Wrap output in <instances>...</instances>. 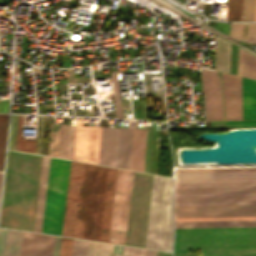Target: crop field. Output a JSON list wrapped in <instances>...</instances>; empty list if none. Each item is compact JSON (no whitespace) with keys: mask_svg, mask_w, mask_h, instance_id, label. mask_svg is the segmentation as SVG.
<instances>
[{"mask_svg":"<svg viewBox=\"0 0 256 256\" xmlns=\"http://www.w3.org/2000/svg\"><path fill=\"white\" fill-rule=\"evenodd\" d=\"M55 236L24 231L20 256H52Z\"/></svg>","mask_w":256,"mask_h":256,"instance_id":"crop-field-13","label":"crop field"},{"mask_svg":"<svg viewBox=\"0 0 256 256\" xmlns=\"http://www.w3.org/2000/svg\"><path fill=\"white\" fill-rule=\"evenodd\" d=\"M153 175L134 172L126 240L144 247Z\"/></svg>","mask_w":256,"mask_h":256,"instance_id":"crop-field-7","label":"crop field"},{"mask_svg":"<svg viewBox=\"0 0 256 256\" xmlns=\"http://www.w3.org/2000/svg\"><path fill=\"white\" fill-rule=\"evenodd\" d=\"M146 250L124 246L122 256H145Z\"/></svg>","mask_w":256,"mask_h":256,"instance_id":"crop-field-35","label":"crop field"},{"mask_svg":"<svg viewBox=\"0 0 256 256\" xmlns=\"http://www.w3.org/2000/svg\"><path fill=\"white\" fill-rule=\"evenodd\" d=\"M116 173L71 161L62 235L108 242Z\"/></svg>","mask_w":256,"mask_h":256,"instance_id":"crop-field-1","label":"crop field"},{"mask_svg":"<svg viewBox=\"0 0 256 256\" xmlns=\"http://www.w3.org/2000/svg\"><path fill=\"white\" fill-rule=\"evenodd\" d=\"M173 179L154 175L145 247L171 251Z\"/></svg>","mask_w":256,"mask_h":256,"instance_id":"crop-field-5","label":"crop field"},{"mask_svg":"<svg viewBox=\"0 0 256 256\" xmlns=\"http://www.w3.org/2000/svg\"><path fill=\"white\" fill-rule=\"evenodd\" d=\"M202 220H256V217H202V218H175V221H202Z\"/></svg>","mask_w":256,"mask_h":256,"instance_id":"crop-field-31","label":"crop field"},{"mask_svg":"<svg viewBox=\"0 0 256 256\" xmlns=\"http://www.w3.org/2000/svg\"><path fill=\"white\" fill-rule=\"evenodd\" d=\"M156 251L147 250L146 256H155Z\"/></svg>","mask_w":256,"mask_h":256,"instance_id":"crop-field-39","label":"crop field"},{"mask_svg":"<svg viewBox=\"0 0 256 256\" xmlns=\"http://www.w3.org/2000/svg\"><path fill=\"white\" fill-rule=\"evenodd\" d=\"M188 248H202L201 256H256V228L175 229L174 253Z\"/></svg>","mask_w":256,"mask_h":256,"instance_id":"crop-field-4","label":"crop field"},{"mask_svg":"<svg viewBox=\"0 0 256 256\" xmlns=\"http://www.w3.org/2000/svg\"><path fill=\"white\" fill-rule=\"evenodd\" d=\"M8 114H0V171H2L7 129H8Z\"/></svg>","mask_w":256,"mask_h":256,"instance_id":"crop-field-25","label":"crop field"},{"mask_svg":"<svg viewBox=\"0 0 256 256\" xmlns=\"http://www.w3.org/2000/svg\"><path fill=\"white\" fill-rule=\"evenodd\" d=\"M243 0H229L227 20L241 21Z\"/></svg>","mask_w":256,"mask_h":256,"instance_id":"crop-field-28","label":"crop field"},{"mask_svg":"<svg viewBox=\"0 0 256 256\" xmlns=\"http://www.w3.org/2000/svg\"><path fill=\"white\" fill-rule=\"evenodd\" d=\"M22 132V115H20L19 121V133H18V145L17 150L27 151L34 153L35 149V140H21Z\"/></svg>","mask_w":256,"mask_h":256,"instance_id":"crop-field-30","label":"crop field"},{"mask_svg":"<svg viewBox=\"0 0 256 256\" xmlns=\"http://www.w3.org/2000/svg\"><path fill=\"white\" fill-rule=\"evenodd\" d=\"M60 125L51 124L48 155L57 157Z\"/></svg>","mask_w":256,"mask_h":256,"instance_id":"crop-field-29","label":"crop field"},{"mask_svg":"<svg viewBox=\"0 0 256 256\" xmlns=\"http://www.w3.org/2000/svg\"><path fill=\"white\" fill-rule=\"evenodd\" d=\"M77 118L73 159L98 164L101 128L82 127Z\"/></svg>","mask_w":256,"mask_h":256,"instance_id":"crop-field-9","label":"crop field"},{"mask_svg":"<svg viewBox=\"0 0 256 256\" xmlns=\"http://www.w3.org/2000/svg\"><path fill=\"white\" fill-rule=\"evenodd\" d=\"M156 256H171V253L157 251Z\"/></svg>","mask_w":256,"mask_h":256,"instance_id":"crop-field-38","label":"crop field"},{"mask_svg":"<svg viewBox=\"0 0 256 256\" xmlns=\"http://www.w3.org/2000/svg\"><path fill=\"white\" fill-rule=\"evenodd\" d=\"M175 217L256 216V206L174 207Z\"/></svg>","mask_w":256,"mask_h":256,"instance_id":"crop-field-11","label":"crop field"},{"mask_svg":"<svg viewBox=\"0 0 256 256\" xmlns=\"http://www.w3.org/2000/svg\"><path fill=\"white\" fill-rule=\"evenodd\" d=\"M114 245L89 241L87 256H112Z\"/></svg>","mask_w":256,"mask_h":256,"instance_id":"crop-field-24","label":"crop field"},{"mask_svg":"<svg viewBox=\"0 0 256 256\" xmlns=\"http://www.w3.org/2000/svg\"><path fill=\"white\" fill-rule=\"evenodd\" d=\"M254 21H256V6H255V16H254Z\"/></svg>","mask_w":256,"mask_h":256,"instance_id":"crop-field-40","label":"crop field"},{"mask_svg":"<svg viewBox=\"0 0 256 256\" xmlns=\"http://www.w3.org/2000/svg\"><path fill=\"white\" fill-rule=\"evenodd\" d=\"M230 36L256 42V23H232Z\"/></svg>","mask_w":256,"mask_h":256,"instance_id":"crop-field-22","label":"crop field"},{"mask_svg":"<svg viewBox=\"0 0 256 256\" xmlns=\"http://www.w3.org/2000/svg\"><path fill=\"white\" fill-rule=\"evenodd\" d=\"M256 182V168L176 169L175 184ZM256 205V183L175 185L174 206Z\"/></svg>","mask_w":256,"mask_h":256,"instance_id":"crop-field-2","label":"crop field"},{"mask_svg":"<svg viewBox=\"0 0 256 256\" xmlns=\"http://www.w3.org/2000/svg\"><path fill=\"white\" fill-rule=\"evenodd\" d=\"M122 249H123V246L115 245L113 256H121Z\"/></svg>","mask_w":256,"mask_h":256,"instance_id":"crop-field-37","label":"crop field"},{"mask_svg":"<svg viewBox=\"0 0 256 256\" xmlns=\"http://www.w3.org/2000/svg\"><path fill=\"white\" fill-rule=\"evenodd\" d=\"M206 120L223 119L220 77L216 71L201 70Z\"/></svg>","mask_w":256,"mask_h":256,"instance_id":"crop-field-10","label":"crop field"},{"mask_svg":"<svg viewBox=\"0 0 256 256\" xmlns=\"http://www.w3.org/2000/svg\"><path fill=\"white\" fill-rule=\"evenodd\" d=\"M88 241L74 239L72 256H86Z\"/></svg>","mask_w":256,"mask_h":256,"instance_id":"crop-field-33","label":"crop field"},{"mask_svg":"<svg viewBox=\"0 0 256 256\" xmlns=\"http://www.w3.org/2000/svg\"><path fill=\"white\" fill-rule=\"evenodd\" d=\"M147 130L134 129L131 169L143 172Z\"/></svg>","mask_w":256,"mask_h":256,"instance_id":"crop-field-17","label":"crop field"},{"mask_svg":"<svg viewBox=\"0 0 256 256\" xmlns=\"http://www.w3.org/2000/svg\"><path fill=\"white\" fill-rule=\"evenodd\" d=\"M73 239L62 237L59 256H71Z\"/></svg>","mask_w":256,"mask_h":256,"instance_id":"crop-field-34","label":"crop field"},{"mask_svg":"<svg viewBox=\"0 0 256 256\" xmlns=\"http://www.w3.org/2000/svg\"><path fill=\"white\" fill-rule=\"evenodd\" d=\"M255 0H244L242 21H253Z\"/></svg>","mask_w":256,"mask_h":256,"instance_id":"crop-field-32","label":"crop field"},{"mask_svg":"<svg viewBox=\"0 0 256 256\" xmlns=\"http://www.w3.org/2000/svg\"><path fill=\"white\" fill-rule=\"evenodd\" d=\"M256 221H202V222H175V228L201 227H255Z\"/></svg>","mask_w":256,"mask_h":256,"instance_id":"crop-field-20","label":"crop field"},{"mask_svg":"<svg viewBox=\"0 0 256 256\" xmlns=\"http://www.w3.org/2000/svg\"><path fill=\"white\" fill-rule=\"evenodd\" d=\"M1 177H2V172H0V186H1Z\"/></svg>","mask_w":256,"mask_h":256,"instance_id":"crop-field-41","label":"crop field"},{"mask_svg":"<svg viewBox=\"0 0 256 256\" xmlns=\"http://www.w3.org/2000/svg\"><path fill=\"white\" fill-rule=\"evenodd\" d=\"M41 156L9 150L0 226L32 231Z\"/></svg>","mask_w":256,"mask_h":256,"instance_id":"crop-field-3","label":"crop field"},{"mask_svg":"<svg viewBox=\"0 0 256 256\" xmlns=\"http://www.w3.org/2000/svg\"><path fill=\"white\" fill-rule=\"evenodd\" d=\"M23 231L9 229L5 256H19Z\"/></svg>","mask_w":256,"mask_h":256,"instance_id":"crop-field-23","label":"crop field"},{"mask_svg":"<svg viewBox=\"0 0 256 256\" xmlns=\"http://www.w3.org/2000/svg\"><path fill=\"white\" fill-rule=\"evenodd\" d=\"M232 43L217 36L214 69L231 73Z\"/></svg>","mask_w":256,"mask_h":256,"instance_id":"crop-field-18","label":"crop field"},{"mask_svg":"<svg viewBox=\"0 0 256 256\" xmlns=\"http://www.w3.org/2000/svg\"><path fill=\"white\" fill-rule=\"evenodd\" d=\"M242 75L256 78V56L244 51Z\"/></svg>","mask_w":256,"mask_h":256,"instance_id":"crop-field-27","label":"crop field"},{"mask_svg":"<svg viewBox=\"0 0 256 256\" xmlns=\"http://www.w3.org/2000/svg\"><path fill=\"white\" fill-rule=\"evenodd\" d=\"M243 119H256V81L242 77Z\"/></svg>","mask_w":256,"mask_h":256,"instance_id":"crop-field-16","label":"crop field"},{"mask_svg":"<svg viewBox=\"0 0 256 256\" xmlns=\"http://www.w3.org/2000/svg\"><path fill=\"white\" fill-rule=\"evenodd\" d=\"M115 128L102 127L99 164L112 166Z\"/></svg>","mask_w":256,"mask_h":256,"instance_id":"crop-field-19","label":"crop field"},{"mask_svg":"<svg viewBox=\"0 0 256 256\" xmlns=\"http://www.w3.org/2000/svg\"><path fill=\"white\" fill-rule=\"evenodd\" d=\"M225 120L242 119L241 77L222 73Z\"/></svg>","mask_w":256,"mask_h":256,"instance_id":"crop-field-12","label":"crop field"},{"mask_svg":"<svg viewBox=\"0 0 256 256\" xmlns=\"http://www.w3.org/2000/svg\"><path fill=\"white\" fill-rule=\"evenodd\" d=\"M133 129L116 128L113 166L130 169Z\"/></svg>","mask_w":256,"mask_h":256,"instance_id":"crop-field-14","label":"crop field"},{"mask_svg":"<svg viewBox=\"0 0 256 256\" xmlns=\"http://www.w3.org/2000/svg\"><path fill=\"white\" fill-rule=\"evenodd\" d=\"M69 165L51 157L42 232L61 235Z\"/></svg>","mask_w":256,"mask_h":256,"instance_id":"crop-field-6","label":"crop field"},{"mask_svg":"<svg viewBox=\"0 0 256 256\" xmlns=\"http://www.w3.org/2000/svg\"><path fill=\"white\" fill-rule=\"evenodd\" d=\"M75 126H61L58 157L72 159Z\"/></svg>","mask_w":256,"mask_h":256,"instance_id":"crop-field-21","label":"crop field"},{"mask_svg":"<svg viewBox=\"0 0 256 256\" xmlns=\"http://www.w3.org/2000/svg\"><path fill=\"white\" fill-rule=\"evenodd\" d=\"M8 229L0 228V256H4Z\"/></svg>","mask_w":256,"mask_h":256,"instance_id":"crop-field-36","label":"crop field"},{"mask_svg":"<svg viewBox=\"0 0 256 256\" xmlns=\"http://www.w3.org/2000/svg\"><path fill=\"white\" fill-rule=\"evenodd\" d=\"M133 172L118 169L109 242L124 244Z\"/></svg>","mask_w":256,"mask_h":256,"instance_id":"crop-field-8","label":"crop field"},{"mask_svg":"<svg viewBox=\"0 0 256 256\" xmlns=\"http://www.w3.org/2000/svg\"><path fill=\"white\" fill-rule=\"evenodd\" d=\"M50 157L43 156L33 231L41 232Z\"/></svg>","mask_w":256,"mask_h":256,"instance_id":"crop-field-15","label":"crop field"},{"mask_svg":"<svg viewBox=\"0 0 256 256\" xmlns=\"http://www.w3.org/2000/svg\"><path fill=\"white\" fill-rule=\"evenodd\" d=\"M256 127V120L249 121H208V128Z\"/></svg>","mask_w":256,"mask_h":256,"instance_id":"crop-field-26","label":"crop field"}]
</instances>
